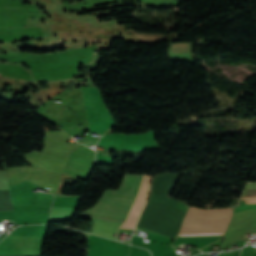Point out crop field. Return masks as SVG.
<instances>
[{
	"mask_svg": "<svg viewBox=\"0 0 256 256\" xmlns=\"http://www.w3.org/2000/svg\"><path fill=\"white\" fill-rule=\"evenodd\" d=\"M225 228H181L180 233L224 232Z\"/></svg>",
	"mask_w": 256,
	"mask_h": 256,
	"instance_id": "obj_3",
	"label": "crop field"
},
{
	"mask_svg": "<svg viewBox=\"0 0 256 256\" xmlns=\"http://www.w3.org/2000/svg\"><path fill=\"white\" fill-rule=\"evenodd\" d=\"M256 197V183H249L242 199ZM249 203H256V198H250Z\"/></svg>",
	"mask_w": 256,
	"mask_h": 256,
	"instance_id": "obj_4",
	"label": "crop field"
},
{
	"mask_svg": "<svg viewBox=\"0 0 256 256\" xmlns=\"http://www.w3.org/2000/svg\"><path fill=\"white\" fill-rule=\"evenodd\" d=\"M170 56L172 60H186L191 62L192 61L191 44L189 43L171 44Z\"/></svg>",
	"mask_w": 256,
	"mask_h": 256,
	"instance_id": "obj_2",
	"label": "crop field"
},
{
	"mask_svg": "<svg viewBox=\"0 0 256 256\" xmlns=\"http://www.w3.org/2000/svg\"><path fill=\"white\" fill-rule=\"evenodd\" d=\"M150 179H151L150 176H146V175L143 176L142 184L138 191L132 210L126 220V223L122 225V227H131V228L135 227L138 217L140 215V212L143 209L144 204L146 202V198L148 194V185H149Z\"/></svg>",
	"mask_w": 256,
	"mask_h": 256,
	"instance_id": "obj_1",
	"label": "crop field"
}]
</instances>
